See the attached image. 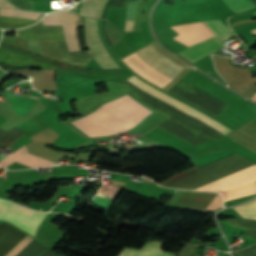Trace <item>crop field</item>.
<instances>
[{"label": "crop field", "instance_id": "8a807250", "mask_svg": "<svg viewBox=\"0 0 256 256\" xmlns=\"http://www.w3.org/2000/svg\"><path fill=\"white\" fill-rule=\"evenodd\" d=\"M151 112L126 95L101 105L93 113L71 123L89 137L113 135L133 128Z\"/></svg>", "mask_w": 256, "mask_h": 256}, {"label": "crop field", "instance_id": "ac0d7876", "mask_svg": "<svg viewBox=\"0 0 256 256\" xmlns=\"http://www.w3.org/2000/svg\"><path fill=\"white\" fill-rule=\"evenodd\" d=\"M252 164L254 163L234 153L200 168L196 165L158 184L166 187L194 190Z\"/></svg>", "mask_w": 256, "mask_h": 256}, {"label": "crop field", "instance_id": "34b2d1b8", "mask_svg": "<svg viewBox=\"0 0 256 256\" xmlns=\"http://www.w3.org/2000/svg\"><path fill=\"white\" fill-rule=\"evenodd\" d=\"M16 36L40 40H56L62 58L72 62L87 64L94 56L90 50L68 53L61 26H42V23L39 22L35 26L16 30Z\"/></svg>", "mask_w": 256, "mask_h": 256}, {"label": "crop field", "instance_id": "412701ff", "mask_svg": "<svg viewBox=\"0 0 256 256\" xmlns=\"http://www.w3.org/2000/svg\"><path fill=\"white\" fill-rule=\"evenodd\" d=\"M32 211L33 210L20 205L0 200V220H8L20 228ZM46 214L47 213L44 212L33 211L28 220L22 226V229L34 235Z\"/></svg>", "mask_w": 256, "mask_h": 256}, {"label": "crop field", "instance_id": "f4fd0767", "mask_svg": "<svg viewBox=\"0 0 256 256\" xmlns=\"http://www.w3.org/2000/svg\"><path fill=\"white\" fill-rule=\"evenodd\" d=\"M127 81L134 84L135 86H137L141 90L153 95L154 97H156V98H158V99H160V100L178 108L179 110L186 113L187 115H189V116L201 121L202 123L214 128L215 130L219 131L220 133H222L224 135L227 134L230 131L229 129L225 128L224 126L217 123L213 119H211V118L199 113L198 111L194 110L193 108H191V107H189V106H187V105H185V104L167 96L166 94L162 93L161 91L143 83L140 79H138L134 76L129 78Z\"/></svg>", "mask_w": 256, "mask_h": 256}, {"label": "crop field", "instance_id": "dd49c442", "mask_svg": "<svg viewBox=\"0 0 256 256\" xmlns=\"http://www.w3.org/2000/svg\"><path fill=\"white\" fill-rule=\"evenodd\" d=\"M78 16L73 15L67 11L58 13H51L45 16L42 20L43 25H62L68 51H81L78 42L76 23Z\"/></svg>", "mask_w": 256, "mask_h": 256}, {"label": "crop field", "instance_id": "e52e79f7", "mask_svg": "<svg viewBox=\"0 0 256 256\" xmlns=\"http://www.w3.org/2000/svg\"><path fill=\"white\" fill-rule=\"evenodd\" d=\"M144 62L160 73L174 79L184 68L173 62L151 44L135 52Z\"/></svg>", "mask_w": 256, "mask_h": 256}, {"label": "crop field", "instance_id": "d8731c3e", "mask_svg": "<svg viewBox=\"0 0 256 256\" xmlns=\"http://www.w3.org/2000/svg\"><path fill=\"white\" fill-rule=\"evenodd\" d=\"M256 180V164L235 172L196 190L224 192Z\"/></svg>", "mask_w": 256, "mask_h": 256}, {"label": "crop field", "instance_id": "5a996713", "mask_svg": "<svg viewBox=\"0 0 256 256\" xmlns=\"http://www.w3.org/2000/svg\"><path fill=\"white\" fill-rule=\"evenodd\" d=\"M25 236L26 234L8 224L3 230L0 231V256H4ZM32 240L33 238L27 235L5 256H15Z\"/></svg>", "mask_w": 256, "mask_h": 256}, {"label": "crop field", "instance_id": "3316defc", "mask_svg": "<svg viewBox=\"0 0 256 256\" xmlns=\"http://www.w3.org/2000/svg\"><path fill=\"white\" fill-rule=\"evenodd\" d=\"M86 18V17H85ZM90 19V18H88ZM85 35L90 49L96 54L93 58L97 63H113L115 62L105 50L97 32V23L93 20L85 19ZM102 68L119 67L114 64H99Z\"/></svg>", "mask_w": 256, "mask_h": 256}, {"label": "crop field", "instance_id": "28ad6ade", "mask_svg": "<svg viewBox=\"0 0 256 256\" xmlns=\"http://www.w3.org/2000/svg\"><path fill=\"white\" fill-rule=\"evenodd\" d=\"M179 27L187 34V36L194 42H200L205 39H208L215 34L202 22L199 23H191V24H183L179 25ZM178 26H173V28L176 32H178L180 35L175 37L174 39L190 46L194 44L187 36L186 34L179 28Z\"/></svg>", "mask_w": 256, "mask_h": 256}, {"label": "crop field", "instance_id": "d1516ede", "mask_svg": "<svg viewBox=\"0 0 256 256\" xmlns=\"http://www.w3.org/2000/svg\"><path fill=\"white\" fill-rule=\"evenodd\" d=\"M41 14L42 13L22 12L20 10L0 8V16H4V17L37 19ZM43 15H41L37 20L0 17V28L24 27L26 25H29V24H32V23L38 21Z\"/></svg>", "mask_w": 256, "mask_h": 256}, {"label": "crop field", "instance_id": "22f410ed", "mask_svg": "<svg viewBox=\"0 0 256 256\" xmlns=\"http://www.w3.org/2000/svg\"><path fill=\"white\" fill-rule=\"evenodd\" d=\"M221 46H223L222 42L215 36L197 45L190 46L187 49L179 52V54L193 63L202 57L216 51V48Z\"/></svg>", "mask_w": 256, "mask_h": 256}, {"label": "crop field", "instance_id": "cbeb9de0", "mask_svg": "<svg viewBox=\"0 0 256 256\" xmlns=\"http://www.w3.org/2000/svg\"><path fill=\"white\" fill-rule=\"evenodd\" d=\"M15 161L31 167H47V166L57 165L50 161L28 154L25 146L19 148L15 153L1 160L0 165L5 167Z\"/></svg>", "mask_w": 256, "mask_h": 256}, {"label": "crop field", "instance_id": "5142ce71", "mask_svg": "<svg viewBox=\"0 0 256 256\" xmlns=\"http://www.w3.org/2000/svg\"><path fill=\"white\" fill-rule=\"evenodd\" d=\"M215 195L216 194L211 193H198L186 191V193L183 195V197L176 205V207L183 209H193L204 212L205 208L215 197Z\"/></svg>", "mask_w": 256, "mask_h": 256}, {"label": "crop field", "instance_id": "d9b57169", "mask_svg": "<svg viewBox=\"0 0 256 256\" xmlns=\"http://www.w3.org/2000/svg\"><path fill=\"white\" fill-rule=\"evenodd\" d=\"M164 243L160 241L147 243L140 251L124 248L118 256H158Z\"/></svg>", "mask_w": 256, "mask_h": 256}, {"label": "crop field", "instance_id": "733c2abd", "mask_svg": "<svg viewBox=\"0 0 256 256\" xmlns=\"http://www.w3.org/2000/svg\"><path fill=\"white\" fill-rule=\"evenodd\" d=\"M99 0H84L82 3V7L80 10V13L86 16H91V17H100L97 15H93L95 7L97 5ZM106 0H100L99 4L96 8L95 14L101 15L102 8L105 4ZM104 9V8H103Z\"/></svg>", "mask_w": 256, "mask_h": 256}, {"label": "crop field", "instance_id": "4a817a6b", "mask_svg": "<svg viewBox=\"0 0 256 256\" xmlns=\"http://www.w3.org/2000/svg\"><path fill=\"white\" fill-rule=\"evenodd\" d=\"M24 133L17 128H12L11 130L5 132L0 129V145L8 147L18 138H20Z\"/></svg>", "mask_w": 256, "mask_h": 256}, {"label": "crop field", "instance_id": "bc2a9ffb", "mask_svg": "<svg viewBox=\"0 0 256 256\" xmlns=\"http://www.w3.org/2000/svg\"><path fill=\"white\" fill-rule=\"evenodd\" d=\"M224 1L236 14L256 7L250 0H224Z\"/></svg>", "mask_w": 256, "mask_h": 256}, {"label": "crop field", "instance_id": "214f88e0", "mask_svg": "<svg viewBox=\"0 0 256 256\" xmlns=\"http://www.w3.org/2000/svg\"><path fill=\"white\" fill-rule=\"evenodd\" d=\"M222 40L234 35L219 20L204 22Z\"/></svg>", "mask_w": 256, "mask_h": 256}, {"label": "crop field", "instance_id": "92a150f3", "mask_svg": "<svg viewBox=\"0 0 256 256\" xmlns=\"http://www.w3.org/2000/svg\"><path fill=\"white\" fill-rule=\"evenodd\" d=\"M233 209L242 217L256 219V198L245 205L234 207Z\"/></svg>", "mask_w": 256, "mask_h": 256}, {"label": "crop field", "instance_id": "dafd665d", "mask_svg": "<svg viewBox=\"0 0 256 256\" xmlns=\"http://www.w3.org/2000/svg\"><path fill=\"white\" fill-rule=\"evenodd\" d=\"M46 248L36 242H32L17 256H39Z\"/></svg>", "mask_w": 256, "mask_h": 256}, {"label": "crop field", "instance_id": "00972430", "mask_svg": "<svg viewBox=\"0 0 256 256\" xmlns=\"http://www.w3.org/2000/svg\"><path fill=\"white\" fill-rule=\"evenodd\" d=\"M229 224L246 229L256 230V221L244 219H229Z\"/></svg>", "mask_w": 256, "mask_h": 256}, {"label": "crop field", "instance_id": "a9b5d70f", "mask_svg": "<svg viewBox=\"0 0 256 256\" xmlns=\"http://www.w3.org/2000/svg\"><path fill=\"white\" fill-rule=\"evenodd\" d=\"M8 1L20 9L32 11L31 0H8Z\"/></svg>", "mask_w": 256, "mask_h": 256}, {"label": "crop field", "instance_id": "4177f3b9", "mask_svg": "<svg viewBox=\"0 0 256 256\" xmlns=\"http://www.w3.org/2000/svg\"><path fill=\"white\" fill-rule=\"evenodd\" d=\"M195 247V244L187 243L185 247L180 251L178 256H197L192 252Z\"/></svg>", "mask_w": 256, "mask_h": 256}, {"label": "crop field", "instance_id": "730fd06b", "mask_svg": "<svg viewBox=\"0 0 256 256\" xmlns=\"http://www.w3.org/2000/svg\"><path fill=\"white\" fill-rule=\"evenodd\" d=\"M221 206H222L221 195L217 194V196L213 199V201L209 204V206L207 207V209L205 211L215 210Z\"/></svg>", "mask_w": 256, "mask_h": 256}, {"label": "crop field", "instance_id": "eef30255", "mask_svg": "<svg viewBox=\"0 0 256 256\" xmlns=\"http://www.w3.org/2000/svg\"><path fill=\"white\" fill-rule=\"evenodd\" d=\"M236 253L240 256H256V244Z\"/></svg>", "mask_w": 256, "mask_h": 256}, {"label": "crop field", "instance_id": "ae1a2a85", "mask_svg": "<svg viewBox=\"0 0 256 256\" xmlns=\"http://www.w3.org/2000/svg\"><path fill=\"white\" fill-rule=\"evenodd\" d=\"M40 256H59V255L48 249L45 253L41 254Z\"/></svg>", "mask_w": 256, "mask_h": 256}, {"label": "crop field", "instance_id": "d3111659", "mask_svg": "<svg viewBox=\"0 0 256 256\" xmlns=\"http://www.w3.org/2000/svg\"><path fill=\"white\" fill-rule=\"evenodd\" d=\"M134 20H130L129 31H132ZM129 20H126L125 31H128Z\"/></svg>", "mask_w": 256, "mask_h": 256}, {"label": "crop field", "instance_id": "750c4746", "mask_svg": "<svg viewBox=\"0 0 256 256\" xmlns=\"http://www.w3.org/2000/svg\"><path fill=\"white\" fill-rule=\"evenodd\" d=\"M0 7H13V6L4 0H0Z\"/></svg>", "mask_w": 256, "mask_h": 256}, {"label": "crop field", "instance_id": "bd1437ed", "mask_svg": "<svg viewBox=\"0 0 256 256\" xmlns=\"http://www.w3.org/2000/svg\"><path fill=\"white\" fill-rule=\"evenodd\" d=\"M160 256H174V255L162 251Z\"/></svg>", "mask_w": 256, "mask_h": 256}, {"label": "crop field", "instance_id": "1d83c4d3", "mask_svg": "<svg viewBox=\"0 0 256 256\" xmlns=\"http://www.w3.org/2000/svg\"><path fill=\"white\" fill-rule=\"evenodd\" d=\"M7 225V223H3L2 225H0V230L3 228V227H5Z\"/></svg>", "mask_w": 256, "mask_h": 256}, {"label": "crop field", "instance_id": "120bbe31", "mask_svg": "<svg viewBox=\"0 0 256 256\" xmlns=\"http://www.w3.org/2000/svg\"><path fill=\"white\" fill-rule=\"evenodd\" d=\"M251 32L256 36V29L251 30Z\"/></svg>", "mask_w": 256, "mask_h": 256}, {"label": "crop field", "instance_id": "d32e631a", "mask_svg": "<svg viewBox=\"0 0 256 256\" xmlns=\"http://www.w3.org/2000/svg\"><path fill=\"white\" fill-rule=\"evenodd\" d=\"M250 99L255 101L256 100V94L252 98H250Z\"/></svg>", "mask_w": 256, "mask_h": 256}, {"label": "crop field", "instance_id": "5866460e", "mask_svg": "<svg viewBox=\"0 0 256 256\" xmlns=\"http://www.w3.org/2000/svg\"><path fill=\"white\" fill-rule=\"evenodd\" d=\"M256 102V101H255Z\"/></svg>", "mask_w": 256, "mask_h": 256}, {"label": "crop field", "instance_id": "028f5c9d", "mask_svg": "<svg viewBox=\"0 0 256 256\" xmlns=\"http://www.w3.org/2000/svg\"><path fill=\"white\" fill-rule=\"evenodd\" d=\"M256 14V13H255Z\"/></svg>", "mask_w": 256, "mask_h": 256}]
</instances>
